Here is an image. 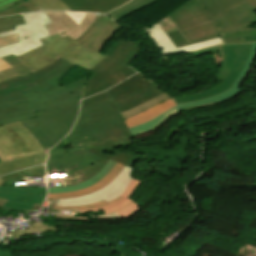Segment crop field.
Returning <instances> with one entry per match:
<instances>
[{
    "label": "crop field",
    "mask_w": 256,
    "mask_h": 256,
    "mask_svg": "<svg viewBox=\"0 0 256 256\" xmlns=\"http://www.w3.org/2000/svg\"><path fill=\"white\" fill-rule=\"evenodd\" d=\"M73 64L58 58L48 67L0 84V125L20 121L44 151L75 121L86 78L65 87L58 81Z\"/></svg>",
    "instance_id": "crop-field-1"
},
{
    "label": "crop field",
    "mask_w": 256,
    "mask_h": 256,
    "mask_svg": "<svg viewBox=\"0 0 256 256\" xmlns=\"http://www.w3.org/2000/svg\"><path fill=\"white\" fill-rule=\"evenodd\" d=\"M138 44L118 40L105 54L107 57L90 69V78L82 99L104 91L135 73L125 64L135 55Z\"/></svg>",
    "instance_id": "crop-field-2"
},
{
    "label": "crop field",
    "mask_w": 256,
    "mask_h": 256,
    "mask_svg": "<svg viewBox=\"0 0 256 256\" xmlns=\"http://www.w3.org/2000/svg\"><path fill=\"white\" fill-rule=\"evenodd\" d=\"M222 34L256 30V13L247 0H199Z\"/></svg>",
    "instance_id": "crop-field-3"
},
{
    "label": "crop field",
    "mask_w": 256,
    "mask_h": 256,
    "mask_svg": "<svg viewBox=\"0 0 256 256\" xmlns=\"http://www.w3.org/2000/svg\"><path fill=\"white\" fill-rule=\"evenodd\" d=\"M169 17L189 44L221 36L220 30L198 0H190Z\"/></svg>",
    "instance_id": "crop-field-4"
},
{
    "label": "crop field",
    "mask_w": 256,
    "mask_h": 256,
    "mask_svg": "<svg viewBox=\"0 0 256 256\" xmlns=\"http://www.w3.org/2000/svg\"><path fill=\"white\" fill-rule=\"evenodd\" d=\"M26 24L17 26L14 30L0 33V37L17 34L19 42L0 48V57L13 54L18 57L40 45V38L49 34L44 24L51 23L44 11L22 15Z\"/></svg>",
    "instance_id": "crop-field-5"
},
{
    "label": "crop field",
    "mask_w": 256,
    "mask_h": 256,
    "mask_svg": "<svg viewBox=\"0 0 256 256\" xmlns=\"http://www.w3.org/2000/svg\"><path fill=\"white\" fill-rule=\"evenodd\" d=\"M148 84L150 82L137 73L103 93L83 99L80 106V115L77 120L115 111L111 101L123 98Z\"/></svg>",
    "instance_id": "crop-field-6"
},
{
    "label": "crop field",
    "mask_w": 256,
    "mask_h": 256,
    "mask_svg": "<svg viewBox=\"0 0 256 256\" xmlns=\"http://www.w3.org/2000/svg\"><path fill=\"white\" fill-rule=\"evenodd\" d=\"M36 139L19 123L0 126V159L43 154Z\"/></svg>",
    "instance_id": "crop-field-7"
},
{
    "label": "crop field",
    "mask_w": 256,
    "mask_h": 256,
    "mask_svg": "<svg viewBox=\"0 0 256 256\" xmlns=\"http://www.w3.org/2000/svg\"><path fill=\"white\" fill-rule=\"evenodd\" d=\"M67 36L61 38L56 34L52 37L41 39L40 41L44 44L41 47L57 58L60 56L88 70L106 57L101 53L85 49Z\"/></svg>",
    "instance_id": "crop-field-8"
},
{
    "label": "crop field",
    "mask_w": 256,
    "mask_h": 256,
    "mask_svg": "<svg viewBox=\"0 0 256 256\" xmlns=\"http://www.w3.org/2000/svg\"><path fill=\"white\" fill-rule=\"evenodd\" d=\"M251 44H234V45H224L225 56H226V67L231 69L229 75L223 82L206 92L199 93L196 95H190L185 97L174 98L176 103L199 100L207 98L209 96L221 93L232 87L231 83L240 73L251 49Z\"/></svg>",
    "instance_id": "crop-field-9"
},
{
    "label": "crop field",
    "mask_w": 256,
    "mask_h": 256,
    "mask_svg": "<svg viewBox=\"0 0 256 256\" xmlns=\"http://www.w3.org/2000/svg\"><path fill=\"white\" fill-rule=\"evenodd\" d=\"M124 132H128V130L123 119L118 115L75 127L66 137L71 148H81L79 143L97 140Z\"/></svg>",
    "instance_id": "crop-field-10"
},
{
    "label": "crop field",
    "mask_w": 256,
    "mask_h": 256,
    "mask_svg": "<svg viewBox=\"0 0 256 256\" xmlns=\"http://www.w3.org/2000/svg\"><path fill=\"white\" fill-rule=\"evenodd\" d=\"M130 138L131 135L128 132L97 141L82 143L80 145L84 153L100 154L99 157H105L132 168L138 158L135 155L118 152L113 149V147L132 145Z\"/></svg>",
    "instance_id": "crop-field-11"
},
{
    "label": "crop field",
    "mask_w": 256,
    "mask_h": 256,
    "mask_svg": "<svg viewBox=\"0 0 256 256\" xmlns=\"http://www.w3.org/2000/svg\"><path fill=\"white\" fill-rule=\"evenodd\" d=\"M41 10L109 12L129 0H33Z\"/></svg>",
    "instance_id": "crop-field-12"
},
{
    "label": "crop field",
    "mask_w": 256,
    "mask_h": 256,
    "mask_svg": "<svg viewBox=\"0 0 256 256\" xmlns=\"http://www.w3.org/2000/svg\"><path fill=\"white\" fill-rule=\"evenodd\" d=\"M46 195V188H18L0 186V198L8 200L2 206L10 210H30L41 207Z\"/></svg>",
    "instance_id": "crop-field-13"
},
{
    "label": "crop field",
    "mask_w": 256,
    "mask_h": 256,
    "mask_svg": "<svg viewBox=\"0 0 256 256\" xmlns=\"http://www.w3.org/2000/svg\"><path fill=\"white\" fill-rule=\"evenodd\" d=\"M133 169L125 168L115 177V179L103 189L92 193L87 196L71 198V199H58L56 202H59V206H74V205H84V204H92L95 202H99L103 199L106 202L117 198L121 192L125 189L128 182L132 177Z\"/></svg>",
    "instance_id": "crop-field-14"
},
{
    "label": "crop field",
    "mask_w": 256,
    "mask_h": 256,
    "mask_svg": "<svg viewBox=\"0 0 256 256\" xmlns=\"http://www.w3.org/2000/svg\"><path fill=\"white\" fill-rule=\"evenodd\" d=\"M122 27L118 22L98 14L93 24L75 41L85 48L100 52L104 44Z\"/></svg>",
    "instance_id": "crop-field-15"
},
{
    "label": "crop field",
    "mask_w": 256,
    "mask_h": 256,
    "mask_svg": "<svg viewBox=\"0 0 256 256\" xmlns=\"http://www.w3.org/2000/svg\"><path fill=\"white\" fill-rule=\"evenodd\" d=\"M53 24L46 25L50 35L59 34L61 37L68 35L72 39H76L91 25L97 14L88 13L78 27L63 12L45 11Z\"/></svg>",
    "instance_id": "crop-field-16"
},
{
    "label": "crop field",
    "mask_w": 256,
    "mask_h": 256,
    "mask_svg": "<svg viewBox=\"0 0 256 256\" xmlns=\"http://www.w3.org/2000/svg\"><path fill=\"white\" fill-rule=\"evenodd\" d=\"M160 93H163V92L151 84V85L133 93L132 95H130L126 98L120 99L118 101H114L113 104H114L115 108L117 109V111L111 112L108 114H104L101 116L77 121L74 126H78V125L94 122L97 120H101V119H104L107 117H111L114 115H118L120 112H122L126 109H129V108L135 107Z\"/></svg>",
    "instance_id": "crop-field-17"
},
{
    "label": "crop field",
    "mask_w": 256,
    "mask_h": 256,
    "mask_svg": "<svg viewBox=\"0 0 256 256\" xmlns=\"http://www.w3.org/2000/svg\"><path fill=\"white\" fill-rule=\"evenodd\" d=\"M82 156V149L63 150L61 142H59L48 153L46 163L47 173L69 168L75 165Z\"/></svg>",
    "instance_id": "crop-field-18"
},
{
    "label": "crop field",
    "mask_w": 256,
    "mask_h": 256,
    "mask_svg": "<svg viewBox=\"0 0 256 256\" xmlns=\"http://www.w3.org/2000/svg\"><path fill=\"white\" fill-rule=\"evenodd\" d=\"M148 31L150 32V35L152 36L153 40L157 44L158 48L160 49L161 53L163 54H171L176 52H189L194 51L196 49L214 45V44H221L222 40L220 38L188 45L185 47H181L176 49L175 46L172 44V42L169 40L167 35L164 33V31L161 29V27L158 24L153 25L152 27L148 28Z\"/></svg>",
    "instance_id": "crop-field-19"
},
{
    "label": "crop field",
    "mask_w": 256,
    "mask_h": 256,
    "mask_svg": "<svg viewBox=\"0 0 256 256\" xmlns=\"http://www.w3.org/2000/svg\"><path fill=\"white\" fill-rule=\"evenodd\" d=\"M255 56H256V43H253L250 55H249L245 65H244L241 73L236 78V80L233 82L234 86L230 90H228L224 93L212 96L210 98L204 99V100L180 103V104H178L179 108H187V107L206 104V103H211V102H214L215 104H218V103L223 102L227 99H230L233 96H235L236 94H238L242 90L238 87L241 84L243 78L246 76L248 70L250 69Z\"/></svg>",
    "instance_id": "crop-field-20"
},
{
    "label": "crop field",
    "mask_w": 256,
    "mask_h": 256,
    "mask_svg": "<svg viewBox=\"0 0 256 256\" xmlns=\"http://www.w3.org/2000/svg\"><path fill=\"white\" fill-rule=\"evenodd\" d=\"M124 165H121L117 163L113 166V168L109 171V173L98 183L82 190L73 191L69 193H58V194H48L46 199H56V198H70V197H76V196H82L87 195L92 192H95L104 186L108 185L114 177L123 169Z\"/></svg>",
    "instance_id": "crop-field-21"
},
{
    "label": "crop field",
    "mask_w": 256,
    "mask_h": 256,
    "mask_svg": "<svg viewBox=\"0 0 256 256\" xmlns=\"http://www.w3.org/2000/svg\"><path fill=\"white\" fill-rule=\"evenodd\" d=\"M173 106H175V103L172 98H170L169 100L159 103L144 112L125 119V123L128 128L135 125L143 124L152 120L153 118L157 117L158 115Z\"/></svg>",
    "instance_id": "crop-field-22"
},
{
    "label": "crop field",
    "mask_w": 256,
    "mask_h": 256,
    "mask_svg": "<svg viewBox=\"0 0 256 256\" xmlns=\"http://www.w3.org/2000/svg\"><path fill=\"white\" fill-rule=\"evenodd\" d=\"M17 59L21 61L32 72L37 69L43 68L56 60L55 57L51 56L40 47Z\"/></svg>",
    "instance_id": "crop-field-23"
},
{
    "label": "crop field",
    "mask_w": 256,
    "mask_h": 256,
    "mask_svg": "<svg viewBox=\"0 0 256 256\" xmlns=\"http://www.w3.org/2000/svg\"><path fill=\"white\" fill-rule=\"evenodd\" d=\"M46 154L26 158L10 159L0 163V176L8 172L25 167L42 164L45 162Z\"/></svg>",
    "instance_id": "crop-field-24"
},
{
    "label": "crop field",
    "mask_w": 256,
    "mask_h": 256,
    "mask_svg": "<svg viewBox=\"0 0 256 256\" xmlns=\"http://www.w3.org/2000/svg\"><path fill=\"white\" fill-rule=\"evenodd\" d=\"M178 113H180V111L178 110L177 106L173 107L146 124L129 128V131L132 137L151 133L160 125H162L164 122H166L170 117Z\"/></svg>",
    "instance_id": "crop-field-25"
},
{
    "label": "crop field",
    "mask_w": 256,
    "mask_h": 256,
    "mask_svg": "<svg viewBox=\"0 0 256 256\" xmlns=\"http://www.w3.org/2000/svg\"><path fill=\"white\" fill-rule=\"evenodd\" d=\"M97 157L98 155L95 154H84L81 160L77 163L80 170L83 171L86 180L94 176L107 162V159Z\"/></svg>",
    "instance_id": "crop-field-26"
},
{
    "label": "crop field",
    "mask_w": 256,
    "mask_h": 256,
    "mask_svg": "<svg viewBox=\"0 0 256 256\" xmlns=\"http://www.w3.org/2000/svg\"><path fill=\"white\" fill-rule=\"evenodd\" d=\"M12 67L3 71H0V82H4L21 75H26L31 71L27 69L21 62H19L13 55L3 58Z\"/></svg>",
    "instance_id": "crop-field-27"
},
{
    "label": "crop field",
    "mask_w": 256,
    "mask_h": 256,
    "mask_svg": "<svg viewBox=\"0 0 256 256\" xmlns=\"http://www.w3.org/2000/svg\"><path fill=\"white\" fill-rule=\"evenodd\" d=\"M115 163L116 162L108 160V162L103 167V169L101 171H99L94 177L89 179L88 181H84L83 183L75 184V185H72L69 187L48 189V193L68 192V191H73V190H77V189H82L89 185H92V184L96 183L97 181H99L100 179H102Z\"/></svg>",
    "instance_id": "crop-field-28"
},
{
    "label": "crop field",
    "mask_w": 256,
    "mask_h": 256,
    "mask_svg": "<svg viewBox=\"0 0 256 256\" xmlns=\"http://www.w3.org/2000/svg\"><path fill=\"white\" fill-rule=\"evenodd\" d=\"M141 183V181L133 178L131 179V181L129 182L128 186L126 187V189L123 191V193L120 195L123 198L120 199L117 203L106 206L104 208L101 209H96V210H91V211H79V212H92V211H101L103 210V213H110L112 211H115L121 207H123L124 205H126L127 203H129L131 200H129L130 196L132 195V193L134 192L135 188L138 187V185ZM129 198V199H128Z\"/></svg>",
    "instance_id": "crop-field-29"
},
{
    "label": "crop field",
    "mask_w": 256,
    "mask_h": 256,
    "mask_svg": "<svg viewBox=\"0 0 256 256\" xmlns=\"http://www.w3.org/2000/svg\"><path fill=\"white\" fill-rule=\"evenodd\" d=\"M40 10L32 0H18L0 7V16Z\"/></svg>",
    "instance_id": "crop-field-30"
},
{
    "label": "crop field",
    "mask_w": 256,
    "mask_h": 256,
    "mask_svg": "<svg viewBox=\"0 0 256 256\" xmlns=\"http://www.w3.org/2000/svg\"><path fill=\"white\" fill-rule=\"evenodd\" d=\"M155 0H132L131 2H129L128 4L107 13L106 15L112 19H119L151 2H153Z\"/></svg>",
    "instance_id": "crop-field-31"
},
{
    "label": "crop field",
    "mask_w": 256,
    "mask_h": 256,
    "mask_svg": "<svg viewBox=\"0 0 256 256\" xmlns=\"http://www.w3.org/2000/svg\"><path fill=\"white\" fill-rule=\"evenodd\" d=\"M212 52H220V64H221V68L220 71L218 72V74L216 75V78L223 80L226 78V76L229 73V69L225 68V57H224V47L223 45L221 46H216V47H211V48H207L204 50H199V51H195L193 52L196 55H200V54H204V53H212Z\"/></svg>",
    "instance_id": "crop-field-32"
},
{
    "label": "crop field",
    "mask_w": 256,
    "mask_h": 256,
    "mask_svg": "<svg viewBox=\"0 0 256 256\" xmlns=\"http://www.w3.org/2000/svg\"><path fill=\"white\" fill-rule=\"evenodd\" d=\"M169 98L170 97L167 96L165 93L160 94L159 96H157V97H155V98H153V99H151V100H149V101H147V102H145V103H143V104H141V105H139V106H137L133 109L127 110V111L121 113L120 115L123 119L127 118V117L132 116L136 113H139V112H141V111H143V110H145V109H147V108H149V107H151V106H153V105H155L159 102L165 101Z\"/></svg>",
    "instance_id": "crop-field-33"
},
{
    "label": "crop field",
    "mask_w": 256,
    "mask_h": 256,
    "mask_svg": "<svg viewBox=\"0 0 256 256\" xmlns=\"http://www.w3.org/2000/svg\"><path fill=\"white\" fill-rule=\"evenodd\" d=\"M44 166L33 167L23 171L15 172L1 177L2 181L5 180H20L23 176H44Z\"/></svg>",
    "instance_id": "crop-field-34"
},
{
    "label": "crop field",
    "mask_w": 256,
    "mask_h": 256,
    "mask_svg": "<svg viewBox=\"0 0 256 256\" xmlns=\"http://www.w3.org/2000/svg\"><path fill=\"white\" fill-rule=\"evenodd\" d=\"M23 20L20 15L1 17L0 18V32L14 29L16 25L23 24Z\"/></svg>",
    "instance_id": "crop-field-35"
},
{
    "label": "crop field",
    "mask_w": 256,
    "mask_h": 256,
    "mask_svg": "<svg viewBox=\"0 0 256 256\" xmlns=\"http://www.w3.org/2000/svg\"><path fill=\"white\" fill-rule=\"evenodd\" d=\"M140 209H142V207L136 205L135 203H131L129 204L127 207L115 212L117 213L119 216H121L122 218L128 219L131 215H133L134 213H136L137 211H139Z\"/></svg>",
    "instance_id": "crop-field-36"
},
{
    "label": "crop field",
    "mask_w": 256,
    "mask_h": 256,
    "mask_svg": "<svg viewBox=\"0 0 256 256\" xmlns=\"http://www.w3.org/2000/svg\"><path fill=\"white\" fill-rule=\"evenodd\" d=\"M120 198L122 197H118L117 199L109 202V203H106L105 200L99 202V203H95V204H92V205H85V206H74V207H53V208H78V210H91V209H96V208H100V207H103L105 205H108V204H112L116 201H118Z\"/></svg>",
    "instance_id": "crop-field-37"
},
{
    "label": "crop field",
    "mask_w": 256,
    "mask_h": 256,
    "mask_svg": "<svg viewBox=\"0 0 256 256\" xmlns=\"http://www.w3.org/2000/svg\"><path fill=\"white\" fill-rule=\"evenodd\" d=\"M58 216V217H56ZM52 218L57 219H64V220H71V221H81V222H90L94 223V221L87 220L88 216H60V215H53Z\"/></svg>",
    "instance_id": "crop-field-38"
},
{
    "label": "crop field",
    "mask_w": 256,
    "mask_h": 256,
    "mask_svg": "<svg viewBox=\"0 0 256 256\" xmlns=\"http://www.w3.org/2000/svg\"><path fill=\"white\" fill-rule=\"evenodd\" d=\"M69 18H71L78 26L87 13L84 12H64Z\"/></svg>",
    "instance_id": "crop-field-39"
},
{
    "label": "crop field",
    "mask_w": 256,
    "mask_h": 256,
    "mask_svg": "<svg viewBox=\"0 0 256 256\" xmlns=\"http://www.w3.org/2000/svg\"><path fill=\"white\" fill-rule=\"evenodd\" d=\"M254 36H256V31L242 32V33H232V34H228V35H223V39L241 38V37H254Z\"/></svg>",
    "instance_id": "crop-field-40"
},
{
    "label": "crop field",
    "mask_w": 256,
    "mask_h": 256,
    "mask_svg": "<svg viewBox=\"0 0 256 256\" xmlns=\"http://www.w3.org/2000/svg\"><path fill=\"white\" fill-rule=\"evenodd\" d=\"M16 35H11L7 37L0 38V47L17 42Z\"/></svg>",
    "instance_id": "crop-field-41"
},
{
    "label": "crop field",
    "mask_w": 256,
    "mask_h": 256,
    "mask_svg": "<svg viewBox=\"0 0 256 256\" xmlns=\"http://www.w3.org/2000/svg\"><path fill=\"white\" fill-rule=\"evenodd\" d=\"M36 227H39L41 229H45L47 231H65L67 229L64 228H58V227H50V226H45V225H40V224H36ZM36 227H28L27 229H31V228H36Z\"/></svg>",
    "instance_id": "crop-field-42"
},
{
    "label": "crop field",
    "mask_w": 256,
    "mask_h": 256,
    "mask_svg": "<svg viewBox=\"0 0 256 256\" xmlns=\"http://www.w3.org/2000/svg\"><path fill=\"white\" fill-rule=\"evenodd\" d=\"M111 218H121V217H119L115 213H111L109 215H104V216H99V217H91V216H89L88 219H91V220H101V219H111Z\"/></svg>",
    "instance_id": "crop-field-43"
},
{
    "label": "crop field",
    "mask_w": 256,
    "mask_h": 256,
    "mask_svg": "<svg viewBox=\"0 0 256 256\" xmlns=\"http://www.w3.org/2000/svg\"><path fill=\"white\" fill-rule=\"evenodd\" d=\"M8 67H10V65L0 58V70L6 69Z\"/></svg>",
    "instance_id": "crop-field-44"
},
{
    "label": "crop field",
    "mask_w": 256,
    "mask_h": 256,
    "mask_svg": "<svg viewBox=\"0 0 256 256\" xmlns=\"http://www.w3.org/2000/svg\"><path fill=\"white\" fill-rule=\"evenodd\" d=\"M13 1H15V0H0V6L9 4V3L13 2Z\"/></svg>",
    "instance_id": "crop-field-45"
},
{
    "label": "crop field",
    "mask_w": 256,
    "mask_h": 256,
    "mask_svg": "<svg viewBox=\"0 0 256 256\" xmlns=\"http://www.w3.org/2000/svg\"><path fill=\"white\" fill-rule=\"evenodd\" d=\"M241 42H256V40L231 41V42H224V43H241Z\"/></svg>",
    "instance_id": "crop-field-46"
},
{
    "label": "crop field",
    "mask_w": 256,
    "mask_h": 256,
    "mask_svg": "<svg viewBox=\"0 0 256 256\" xmlns=\"http://www.w3.org/2000/svg\"><path fill=\"white\" fill-rule=\"evenodd\" d=\"M248 2L251 4V6L254 8L256 11V0H248Z\"/></svg>",
    "instance_id": "crop-field-47"
},
{
    "label": "crop field",
    "mask_w": 256,
    "mask_h": 256,
    "mask_svg": "<svg viewBox=\"0 0 256 256\" xmlns=\"http://www.w3.org/2000/svg\"><path fill=\"white\" fill-rule=\"evenodd\" d=\"M0 256H12L11 253H7V252H0ZM58 256V255H56Z\"/></svg>",
    "instance_id": "crop-field-48"
},
{
    "label": "crop field",
    "mask_w": 256,
    "mask_h": 256,
    "mask_svg": "<svg viewBox=\"0 0 256 256\" xmlns=\"http://www.w3.org/2000/svg\"><path fill=\"white\" fill-rule=\"evenodd\" d=\"M4 184L1 180H0V185Z\"/></svg>",
    "instance_id": "crop-field-49"
},
{
    "label": "crop field",
    "mask_w": 256,
    "mask_h": 256,
    "mask_svg": "<svg viewBox=\"0 0 256 256\" xmlns=\"http://www.w3.org/2000/svg\"><path fill=\"white\" fill-rule=\"evenodd\" d=\"M2 206V204H0V207Z\"/></svg>",
    "instance_id": "crop-field-50"
}]
</instances>
